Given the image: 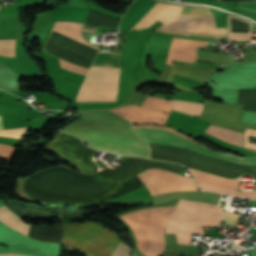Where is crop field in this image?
Here are the masks:
<instances>
[{
    "mask_svg": "<svg viewBox=\"0 0 256 256\" xmlns=\"http://www.w3.org/2000/svg\"><path fill=\"white\" fill-rule=\"evenodd\" d=\"M16 40H0V55L15 57Z\"/></svg>",
    "mask_w": 256,
    "mask_h": 256,
    "instance_id": "crop-field-21",
    "label": "crop field"
},
{
    "mask_svg": "<svg viewBox=\"0 0 256 256\" xmlns=\"http://www.w3.org/2000/svg\"><path fill=\"white\" fill-rule=\"evenodd\" d=\"M256 0H247V1H239V3H246V2H254ZM240 8L256 11V2L254 3H247V4H239Z\"/></svg>",
    "mask_w": 256,
    "mask_h": 256,
    "instance_id": "crop-field-27",
    "label": "crop field"
},
{
    "mask_svg": "<svg viewBox=\"0 0 256 256\" xmlns=\"http://www.w3.org/2000/svg\"><path fill=\"white\" fill-rule=\"evenodd\" d=\"M84 29H85V30L96 31L97 28L85 25V26H84ZM91 31H89V32H91Z\"/></svg>",
    "mask_w": 256,
    "mask_h": 256,
    "instance_id": "crop-field-29",
    "label": "crop field"
},
{
    "mask_svg": "<svg viewBox=\"0 0 256 256\" xmlns=\"http://www.w3.org/2000/svg\"><path fill=\"white\" fill-rule=\"evenodd\" d=\"M169 5L170 4L156 2L134 29H143L149 27L161 17ZM182 7L183 6L171 4L156 23L165 26L169 25L177 16H179Z\"/></svg>",
    "mask_w": 256,
    "mask_h": 256,
    "instance_id": "crop-field-13",
    "label": "crop field"
},
{
    "mask_svg": "<svg viewBox=\"0 0 256 256\" xmlns=\"http://www.w3.org/2000/svg\"><path fill=\"white\" fill-rule=\"evenodd\" d=\"M131 248L123 242L115 249L111 256H129Z\"/></svg>",
    "mask_w": 256,
    "mask_h": 256,
    "instance_id": "crop-field-25",
    "label": "crop field"
},
{
    "mask_svg": "<svg viewBox=\"0 0 256 256\" xmlns=\"http://www.w3.org/2000/svg\"><path fill=\"white\" fill-rule=\"evenodd\" d=\"M207 44L208 42L173 38L166 63L171 65L173 60L192 62L196 59L197 46H207Z\"/></svg>",
    "mask_w": 256,
    "mask_h": 256,
    "instance_id": "crop-field-14",
    "label": "crop field"
},
{
    "mask_svg": "<svg viewBox=\"0 0 256 256\" xmlns=\"http://www.w3.org/2000/svg\"><path fill=\"white\" fill-rule=\"evenodd\" d=\"M13 147L0 144V158L9 161L14 152Z\"/></svg>",
    "mask_w": 256,
    "mask_h": 256,
    "instance_id": "crop-field-24",
    "label": "crop field"
},
{
    "mask_svg": "<svg viewBox=\"0 0 256 256\" xmlns=\"http://www.w3.org/2000/svg\"><path fill=\"white\" fill-rule=\"evenodd\" d=\"M183 14L192 15V16H207L212 15L211 11L208 7L204 6H192V5H185L183 9Z\"/></svg>",
    "mask_w": 256,
    "mask_h": 256,
    "instance_id": "crop-field-20",
    "label": "crop field"
},
{
    "mask_svg": "<svg viewBox=\"0 0 256 256\" xmlns=\"http://www.w3.org/2000/svg\"><path fill=\"white\" fill-rule=\"evenodd\" d=\"M242 105L218 104L206 101L204 111L199 118L207 120L214 125L243 132L244 126L238 125L241 117Z\"/></svg>",
    "mask_w": 256,
    "mask_h": 256,
    "instance_id": "crop-field-9",
    "label": "crop field"
},
{
    "mask_svg": "<svg viewBox=\"0 0 256 256\" xmlns=\"http://www.w3.org/2000/svg\"><path fill=\"white\" fill-rule=\"evenodd\" d=\"M143 106L153 108L156 110L169 112V113L171 111V106L167 103V100L149 97V96L147 97Z\"/></svg>",
    "mask_w": 256,
    "mask_h": 256,
    "instance_id": "crop-field-18",
    "label": "crop field"
},
{
    "mask_svg": "<svg viewBox=\"0 0 256 256\" xmlns=\"http://www.w3.org/2000/svg\"><path fill=\"white\" fill-rule=\"evenodd\" d=\"M167 29L206 34L227 33V28H216L214 17H191L182 14Z\"/></svg>",
    "mask_w": 256,
    "mask_h": 256,
    "instance_id": "crop-field-10",
    "label": "crop field"
},
{
    "mask_svg": "<svg viewBox=\"0 0 256 256\" xmlns=\"http://www.w3.org/2000/svg\"><path fill=\"white\" fill-rule=\"evenodd\" d=\"M52 34H53V32H51L49 38L47 39L46 43L44 44V48H43L44 52H45V46H46L47 42L49 41L50 37L52 36ZM59 60H60V66L65 69H68L70 71H74V72L81 73L84 75L88 71V67H85V66H82V65L61 59V58H59Z\"/></svg>",
    "mask_w": 256,
    "mask_h": 256,
    "instance_id": "crop-field-19",
    "label": "crop field"
},
{
    "mask_svg": "<svg viewBox=\"0 0 256 256\" xmlns=\"http://www.w3.org/2000/svg\"><path fill=\"white\" fill-rule=\"evenodd\" d=\"M2 91V90H1Z\"/></svg>",
    "mask_w": 256,
    "mask_h": 256,
    "instance_id": "crop-field-33",
    "label": "crop field"
},
{
    "mask_svg": "<svg viewBox=\"0 0 256 256\" xmlns=\"http://www.w3.org/2000/svg\"><path fill=\"white\" fill-rule=\"evenodd\" d=\"M0 256H26V255H21V254H12V255H0Z\"/></svg>",
    "mask_w": 256,
    "mask_h": 256,
    "instance_id": "crop-field-30",
    "label": "crop field"
},
{
    "mask_svg": "<svg viewBox=\"0 0 256 256\" xmlns=\"http://www.w3.org/2000/svg\"><path fill=\"white\" fill-rule=\"evenodd\" d=\"M28 129L29 127L20 128V129L0 130V136L23 139L24 136L27 134Z\"/></svg>",
    "mask_w": 256,
    "mask_h": 256,
    "instance_id": "crop-field-22",
    "label": "crop field"
},
{
    "mask_svg": "<svg viewBox=\"0 0 256 256\" xmlns=\"http://www.w3.org/2000/svg\"><path fill=\"white\" fill-rule=\"evenodd\" d=\"M225 218V224L235 226L241 215L220 210Z\"/></svg>",
    "mask_w": 256,
    "mask_h": 256,
    "instance_id": "crop-field-23",
    "label": "crop field"
},
{
    "mask_svg": "<svg viewBox=\"0 0 256 256\" xmlns=\"http://www.w3.org/2000/svg\"><path fill=\"white\" fill-rule=\"evenodd\" d=\"M174 207L148 208L120 216L131 227L143 255L160 256L163 252L164 229Z\"/></svg>",
    "mask_w": 256,
    "mask_h": 256,
    "instance_id": "crop-field-4",
    "label": "crop field"
},
{
    "mask_svg": "<svg viewBox=\"0 0 256 256\" xmlns=\"http://www.w3.org/2000/svg\"><path fill=\"white\" fill-rule=\"evenodd\" d=\"M122 52L99 51L87 77L119 79ZM85 78L76 102L115 101L118 80Z\"/></svg>",
    "mask_w": 256,
    "mask_h": 256,
    "instance_id": "crop-field-5",
    "label": "crop field"
},
{
    "mask_svg": "<svg viewBox=\"0 0 256 256\" xmlns=\"http://www.w3.org/2000/svg\"><path fill=\"white\" fill-rule=\"evenodd\" d=\"M0 129H3V125H2L1 116H0Z\"/></svg>",
    "mask_w": 256,
    "mask_h": 256,
    "instance_id": "crop-field-31",
    "label": "crop field"
},
{
    "mask_svg": "<svg viewBox=\"0 0 256 256\" xmlns=\"http://www.w3.org/2000/svg\"><path fill=\"white\" fill-rule=\"evenodd\" d=\"M173 110L198 117L202 112L203 104L181 100H168Z\"/></svg>",
    "mask_w": 256,
    "mask_h": 256,
    "instance_id": "crop-field-17",
    "label": "crop field"
},
{
    "mask_svg": "<svg viewBox=\"0 0 256 256\" xmlns=\"http://www.w3.org/2000/svg\"><path fill=\"white\" fill-rule=\"evenodd\" d=\"M86 256H89V255H86Z\"/></svg>",
    "mask_w": 256,
    "mask_h": 256,
    "instance_id": "crop-field-32",
    "label": "crop field"
},
{
    "mask_svg": "<svg viewBox=\"0 0 256 256\" xmlns=\"http://www.w3.org/2000/svg\"><path fill=\"white\" fill-rule=\"evenodd\" d=\"M228 40H233V41H245V40H250V36L228 35Z\"/></svg>",
    "mask_w": 256,
    "mask_h": 256,
    "instance_id": "crop-field-28",
    "label": "crop field"
},
{
    "mask_svg": "<svg viewBox=\"0 0 256 256\" xmlns=\"http://www.w3.org/2000/svg\"><path fill=\"white\" fill-rule=\"evenodd\" d=\"M121 242L118 235L91 221L65 224L63 242L92 256H110Z\"/></svg>",
    "mask_w": 256,
    "mask_h": 256,
    "instance_id": "crop-field-6",
    "label": "crop field"
},
{
    "mask_svg": "<svg viewBox=\"0 0 256 256\" xmlns=\"http://www.w3.org/2000/svg\"><path fill=\"white\" fill-rule=\"evenodd\" d=\"M135 134L143 138L145 142L149 143L185 148L232 163L256 164V157H239L233 154H219L205 148L206 146L204 147L199 143L188 141L165 130L144 128L136 130ZM148 145L150 146L153 159L169 160L193 169L230 178H237L240 174L253 175V177H256V165L232 164L206 157L189 150L154 144Z\"/></svg>",
    "mask_w": 256,
    "mask_h": 256,
    "instance_id": "crop-field-3",
    "label": "crop field"
},
{
    "mask_svg": "<svg viewBox=\"0 0 256 256\" xmlns=\"http://www.w3.org/2000/svg\"><path fill=\"white\" fill-rule=\"evenodd\" d=\"M133 123L163 125L169 114L149 108L128 106L111 110ZM109 110L71 123L64 132L79 136L89 147L117 154L150 158L148 145L134 134L133 123Z\"/></svg>",
    "mask_w": 256,
    "mask_h": 256,
    "instance_id": "crop-field-2",
    "label": "crop field"
},
{
    "mask_svg": "<svg viewBox=\"0 0 256 256\" xmlns=\"http://www.w3.org/2000/svg\"><path fill=\"white\" fill-rule=\"evenodd\" d=\"M155 30L160 32H165V33L177 34V35L199 36V37H207V38H226V35H199V34H185V33L167 31L162 29H155Z\"/></svg>",
    "mask_w": 256,
    "mask_h": 256,
    "instance_id": "crop-field-26",
    "label": "crop field"
},
{
    "mask_svg": "<svg viewBox=\"0 0 256 256\" xmlns=\"http://www.w3.org/2000/svg\"><path fill=\"white\" fill-rule=\"evenodd\" d=\"M151 167H157L175 173L186 169L177 164L127 157L122 165L113 171L104 169L95 175H85L87 177L77 175L71 172L73 170L66 167L64 168L71 171L61 167L49 168L50 170L46 169L47 171L42 170L43 172L39 171L41 173H36H39L38 175L34 174L36 176L33 177V175V178H18L14 191L19 198L26 200H30L28 198H31L51 204H90L98 202L104 204L144 186L137 175ZM19 179H25L20 180L19 190L22 195L28 198L22 196L18 190ZM38 203L54 207H94L102 204L50 205L42 202Z\"/></svg>",
    "mask_w": 256,
    "mask_h": 256,
    "instance_id": "crop-field-1",
    "label": "crop field"
},
{
    "mask_svg": "<svg viewBox=\"0 0 256 256\" xmlns=\"http://www.w3.org/2000/svg\"><path fill=\"white\" fill-rule=\"evenodd\" d=\"M191 171L195 174L198 186L202 189L256 199V190L248 192L238 191V181L236 180H227L225 178L197 172L194 170Z\"/></svg>",
    "mask_w": 256,
    "mask_h": 256,
    "instance_id": "crop-field-12",
    "label": "crop field"
},
{
    "mask_svg": "<svg viewBox=\"0 0 256 256\" xmlns=\"http://www.w3.org/2000/svg\"><path fill=\"white\" fill-rule=\"evenodd\" d=\"M204 132L221 139L223 141L238 145V146H243V134L234 132L231 130L223 129V128H218L210 125Z\"/></svg>",
    "mask_w": 256,
    "mask_h": 256,
    "instance_id": "crop-field-15",
    "label": "crop field"
},
{
    "mask_svg": "<svg viewBox=\"0 0 256 256\" xmlns=\"http://www.w3.org/2000/svg\"><path fill=\"white\" fill-rule=\"evenodd\" d=\"M48 145L53 146L61 151H63L64 153H66L68 156H70L72 159H74L76 162L87 166L91 169L94 170V163L95 161H93L91 159V157L93 156V154L96 152L95 150L89 149L87 148L80 139L73 137L71 135H67V134H63L60 133L57 136H55L49 143ZM46 145V147H49L51 149H53L55 152H57L61 157H63L64 159H66L67 161H69L71 163V166L86 172V173H94L93 170L86 168L78 163H76L74 160H72L70 157H68L66 154H64L63 152L50 147Z\"/></svg>",
    "mask_w": 256,
    "mask_h": 256,
    "instance_id": "crop-field-7",
    "label": "crop field"
},
{
    "mask_svg": "<svg viewBox=\"0 0 256 256\" xmlns=\"http://www.w3.org/2000/svg\"><path fill=\"white\" fill-rule=\"evenodd\" d=\"M0 221L25 235L28 234L30 225L22 223L21 218L5 206L0 207Z\"/></svg>",
    "mask_w": 256,
    "mask_h": 256,
    "instance_id": "crop-field-16",
    "label": "crop field"
},
{
    "mask_svg": "<svg viewBox=\"0 0 256 256\" xmlns=\"http://www.w3.org/2000/svg\"><path fill=\"white\" fill-rule=\"evenodd\" d=\"M170 217L223 220L217 206L179 200Z\"/></svg>",
    "mask_w": 256,
    "mask_h": 256,
    "instance_id": "crop-field-11",
    "label": "crop field"
},
{
    "mask_svg": "<svg viewBox=\"0 0 256 256\" xmlns=\"http://www.w3.org/2000/svg\"><path fill=\"white\" fill-rule=\"evenodd\" d=\"M138 176L151 195L177 190H197L194 178H186L157 168H151Z\"/></svg>",
    "mask_w": 256,
    "mask_h": 256,
    "instance_id": "crop-field-8",
    "label": "crop field"
}]
</instances>
